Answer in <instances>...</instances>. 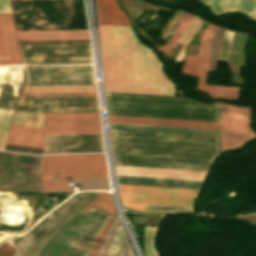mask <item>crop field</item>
<instances>
[{"mask_svg": "<svg viewBox=\"0 0 256 256\" xmlns=\"http://www.w3.org/2000/svg\"><path fill=\"white\" fill-rule=\"evenodd\" d=\"M21 64L11 14H0V65Z\"/></svg>", "mask_w": 256, "mask_h": 256, "instance_id": "obj_16", "label": "crop field"}, {"mask_svg": "<svg viewBox=\"0 0 256 256\" xmlns=\"http://www.w3.org/2000/svg\"><path fill=\"white\" fill-rule=\"evenodd\" d=\"M98 24L131 26L115 0H96Z\"/></svg>", "mask_w": 256, "mask_h": 256, "instance_id": "obj_19", "label": "crop field"}, {"mask_svg": "<svg viewBox=\"0 0 256 256\" xmlns=\"http://www.w3.org/2000/svg\"><path fill=\"white\" fill-rule=\"evenodd\" d=\"M215 29L210 24L199 45L198 57L186 56L181 72L198 77L196 89L212 95L213 98L238 101L240 88L207 84L210 46Z\"/></svg>", "mask_w": 256, "mask_h": 256, "instance_id": "obj_7", "label": "crop field"}, {"mask_svg": "<svg viewBox=\"0 0 256 256\" xmlns=\"http://www.w3.org/2000/svg\"><path fill=\"white\" fill-rule=\"evenodd\" d=\"M233 33L234 32H230L228 30L225 31V36H224L221 53H220V58H219V60H221V61H225V62L227 61L229 46H230V42H231Z\"/></svg>", "mask_w": 256, "mask_h": 256, "instance_id": "obj_35", "label": "crop field"}, {"mask_svg": "<svg viewBox=\"0 0 256 256\" xmlns=\"http://www.w3.org/2000/svg\"><path fill=\"white\" fill-rule=\"evenodd\" d=\"M110 123L219 130L218 123L109 115Z\"/></svg>", "mask_w": 256, "mask_h": 256, "instance_id": "obj_15", "label": "crop field"}, {"mask_svg": "<svg viewBox=\"0 0 256 256\" xmlns=\"http://www.w3.org/2000/svg\"><path fill=\"white\" fill-rule=\"evenodd\" d=\"M223 106L220 114L222 153L241 148L256 137L249 125L251 107L212 102Z\"/></svg>", "mask_w": 256, "mask_h": 256, "instance_id": "obj_9", "label": "crop field"}, {"mask_svg": "<svg viewBox=\"0 0 256 256\" xmlns=\"http://www.w3.org/2000/svg\"><path fill=\"white\" fill-rule=\"evenodd\" d=\"M157 227L145 226L144 232V246L146 256H158L154 245V236Z\"/></svg>", "mask_w": 256, "mask_h": 256, "instance_id": "obj_32", "label": "crop field"}, {"mask_svg": "<svg viewBox=\"0 0 256 256\" xmlns=\"http://www.w3.org/2000/svg\"><path fill=\"white\" fill-rule=\"evenodd\" d=\"M223 11H238L256 20V0H222Z\"/></svg>", "mask_w": 256, "mask_h": 256, "instance_id": "obj_23", "label": "crop field"}, {"mask_svg": "<svg viewBox=\"0 0 256 256\" xmlns=\"http://www.w3.org/2000/svg\"><path fill=\"white\" fill-rule=\"evenodd\" d=\"M193 19L194 16L185 13L178 27L172 33V37L169 39V41L156 49L167 57L175 43H178V41L180 40V38L182 37V35L184 34V32L186 31V29L188 28Z\"/></svg>", "mask_w": 256, "mask_h": 256, "instance_id": "obj_24", "label": "crop field"}, {"mask_svg": "<svg viewBox=\"0 0 256 256\" xmlns=\"http://www.w3.org/2000/svg\"><path fill=\"white\" fill-rule=\"evenodd\" d=\"M117 222L118 220L114 218L108 232L106 233L105 237H104V240L100 246V249H99V252L97 254V256H105L106 254V251H107V248H108V245L112 239V236H113V233H114V230L116 228V225H117Z\"/></svg>", "mask_w": 256, "mask_h": 256, "instance_id": "obj_34", "label": "crop field"}, {"mask_svg": "<svg viewBox=\"0 0 256 256\" xmlns=\"http://www.w3.org/2000/svg\"><path fill=\"white\" fill-rule=\"evenodd\" d=\"M117 175L203 180L207 172L116 166Z\"/></svg>", "mask_w": 256, "mask_h": 256, "instance_id": "obj_17", "label": "crop field"}, {"mask_svg": "<svg viewBox=\"0 0 256 256\" xmlns=\"http://www.w3.org/2000/svg\"><path fill=\"white\" fill-rule=\"evenodd\" d=\"M22 57H92L90 44L19 45Z\"/></svg>", "mask_w": 256, "mask_h": 256, "instance_id": "obj_14", "label": "crop field"}, {"mask_svg": "<svg viewBox=\"0 0 256 256\" xmlns=\"http://www.w3.org/2000/svg\"><path fill=\"white\" fill-rule=\"evenodd\" d=\"M96 92V86L25 87L22 93Z\"/></svg>", "mask_w": 256, "mask_h": 256, "instance_id": "obj_25", "label": "crop field"}, {"mask_svg": "<svg viewBox=\"0 0 256 256\" xmlns=\"http://www.w3.org/2000/svg\"><path fill=\"white\" fill-rule=\"evenodd\" d=\"M120 256H127L125 237H124V241H123V245H122Z\"/></svg>", "mask_w": 256, "mask_h": 256, "instance_id": "obj_41", "label": "crop field"}, {"mask_svg": "<svg viewBox=\"0 0 256 256\" xmlns=\"http://www.w3.org/2000/svg\"><path fill=\"white\" fill-rule=\"evenodd\" d=\"M23 64H83L92 58H22Z\"/></svg>", "mask_w": 256, "mask_h": 256, "instance_id": "obj_28", "label": "crop field"}, {"mask_svg": "<svg viewBox=\"0 0 256 256\" xmlns=\"http://www.w3.org/2000/svg\"><path fill=\"white\" fill-rule=\"evenodd\" d=\"M98 192H79L65 201L37 223L10 251L8 256H37L44 243L71 217L86 206ZM97 206L111 215H116L111 196L101 192L81 212Z\"/></svg>", "mask_w": 256, "mask_h": 256, "instance_id": "obj_4", "label": "crop field"}, {"mask_svg": "<svg viewBox=\"0 0 256 256\" xmlns=\"http://www.w3.org/2000/svg\"><path fill=\"white\" fill-rule=\"evenodd\" d=\"M0 12H11L9 0H0Z\"/></svg>", "mask_w": 256, "mask_h": 256, "instance_id": "obj_40", "label": "crop field"}, {"mask_svg": "<svg viewBox=\"0 0 256 256\" xmlns=\"http://www.w3.org/2000/svg\"><path fill=\"white\" fill-rule=\"evenodd\" d=\"M109 114L218 122L220 106L187 98L106 93Z\"/></svg>", "mask_w": 256, "mask_h": 256, "instance_id": "obj_3", "label": "crop field"}, {"mask_svg": "<svg viewBox=\"0 0 256 256\" xmlns=\"http://www.w3.org/2000/svg\"><path fill=\"white\" fill-rule=\"evenodd\" d=\"M19 40L89 39L88 30L17 31Z\"/></svg>", "mask_w": 256, "mask_h": 256, "instance_id": "obj_21", "label": "crop field"}, {"mask_svg": "<svg viewBox=\"0 0 256 256\" xmlns=\"http://www.w3.org/2000/svg\"><path fill=\"white\" fill-rule=\"evenodd\" d=\"M42 138L43 129L11 125L7 144L42 148Z\"/></svg>", "mask_w": 256, "mask_h": 256, "instance_id": "obj_20", "label": "crop field"}, {"mask_svg": "<svg viewBox=\"0 0 256 256\" xmlns=\"http://www.w3.org/2000/svg\"><path fill=\"white\" fill-rule=\"evenodd\" d=\"M101 211L93 207L85 214H76L46 242L38 256H71L81 237L103 213Z\"/></svg>", "mask_w": 256, "mask_h": 256, "instance_id": "obj_8", "label": "crop field"}, {"mask_svg": "<svg viewBox=\"0 0 256 256\" xmlns=\"http://www.w3.org/2000/svg\"><path fill=\"white\" fill-rule=\"evenodd\" d=\"M91 177H108L107 175H91V176H60V177H43V179H59V178H91Z\"/></svg>", "mask_w": 256, "mask_h": 256, "instance_id": "obj_39", "label": "crop field"}, {"mask_svg": "<svg viewBox=\"0 0 256 256\" xmlns=\"http://www.w3.org/2000/svg\"><path fill=\"white\" fill-rule=\"evenodd\" d=\"M103 151L101 134L45 135L44 154Z\"/></svg>", "mask_w": 256, "mask_h": 256, "instance_id": "obj_13", "label": "crop field"}, {"mask_svg": "<svg viewBox=\"0 0 256 256\" xmlns=\"http://www.w3.org/2000/svg\"><path fill=\"white\" fill-rule=\"evenodd\" d=\"M106 91L173 95L153 52L131 27L98 25Z\"/></svg>", "mask_w": 256, "mask_h": 256, "instance_id": "obj_2", "label": "crop field"}, {"mask_svg": "<svg viewBox=\"0 0 256 256\" xmlns=\"http://www.w3.org/2000/svg\"><path fill=\"white\" fill-rule=\"evenodd\" d=\"M116 165L208 171L219 136L111 129Z\"/></svg>", "mask_w": 256, "mask_h": 256, "instance_id": "obj_1", "label": "crop field"}, {"mask_svg": "<svg viewBox=\"0 0 256 256\" xmlns=\"http://www.w3.org/2000/svg\"><path fill=\"white\" fill-rule=\"evenodd\" d=\"M123 237L124 233L120 223L118 222L117 228L115 230L112 242L108 248L106 256H119Z\"/></svg>", "mask_w": 256, "mask_h": 256, "instance_id": "obj_31", "label": "crop field"}, {"mask_svg": "<svg viewBox=\"0 0 256 256\" xmlns=\"http://www.w3.org/2000/svg\"><path fill=\"white\" fill-rule=\"evenodd\" d=\"M125 207L150 213H184L180 211L141 210L146 203L192 206L198 190L119 185Z\"/></svg>", "mask_w": 256, "mask_h": 256, "instance_id": "obj_5", "label": "crop field"}, {"mask_svg": "<svg viewBox=\"0 0 256 256\" xmlns=\"http://www.w3.org/2000/svg\"><path fill=\"white\" fill-rule=\"evenodd\" d=\"M97 95L96 93L22 94L21 96Z\"/></svg>", "mask_w": 256, "mask_h": 256, "instance_id": "obj_38", "label": "crop field"}, {"mask_svg": "<svg viewBox=\"0 0 256 256\" xmlns=\"http://www.w3.org/2000/svg\"><path fill=\"white\" fill-rule=\"evenodd\" d=\"M202 3L209 6L212 13L216 15L223 14L221 0H202Z\"/></svg>", "mask_w": 256, "mask_h": 256, "instance_id": "obj_36", "label": "crop field"}, {"mask_svg": "<svg viewBox=\"0 0 256 256\" xmlns=\"http://www.w3.org/2000/svg\"><path fill=\"white\" fill-rule=\"evenodd\" d=\"M201 22L202 21H200L198 18H195L194 21L192 22V24L189 26V28L187 29V31L185 32V34L183 35V37L179 41V43H181L183 45L178 50V52H177V54L174 58L175 61H182L185 47H186L187 43L189 42V40L196 33V31H197L198 27L200 26Z\"/></svg>", "mask_w": 256, "mask_h": 256, "instance_id": "obj_29", "label": "crop field"}, {"mask_svg": "<svg viewBox=\"0 0 256 256\" xmlns=\"http://www.w3.org/2000/svg\"><path fill=\"white\" fill-rule=\"evenodd\" d=\"M111 128L219 135V131L110 124Z\"/></svg>", "mask_w": 256, "mask_h": 256, "instance_id": "obj_27", "label": "crop field"}, {"mask_svg": "<svg viewBox=\"0 0 256 256\" xmlns=\"http://www.w3.org/2000/svg\"><path fill=\"white\" fill-rule=\"evenodd\" d=\"M72 183H81L82 190H108V178L43 180L42 192L73 190Z\"/></svg>", "mask_w": 256, "mask_h": 256, "instance_id": "obj_18", "label": "crop field"}, {"mask_svg": "<svg viewBox=\"0 0 256 256\" xmlns=\"http://www.w3.org/2000/svg\"><path fill=\"white\" fill-rule=\"evenodd\" d=\"M101 133L99 113L46 114L45 134Z\"/></svg>", "mask_w": 256, "mask_h": 256, "instance_id": "obj_12", "label": "crop field"}, {"mask_svg": "<svg viewBox=\"0 0 256 256\" xmlns=\"http://www.w3.org/2000/svg\"><path fill=\"white\" fill-rule=\"evenodd\" d=\"M43 121L44 113L16 111L11 124L43 128Z\"/></svg>", "mask_w": 256, "mask_h": 256, "instance_id": "obj_26", "label": "crop field"}, {"mask_svg": "<svg viewBox=\"0 0 256 256\" xmlns=\"http://www.w3.org/2000/svg\"><path fill=\"white\" fill-rule=\"evenodd\" d=\"M13 110L0 109V149L4 148Z\"/></svg>", "mask_w": 256, "mask_h": 256, "instance_id": "obj_30", "label": "crop field"}, {"mask_svg": "<svg viewBox=\"0 0 256 256\" xmlns=\"http://www.w3.org/2000/svg\"><path fill=\"white\" fill-rule=\"evenodd\" d=\"M16 109L39 112L98 111L97 96L21 97Z\"/></svg>", "mask_w": 256, "mask_h": 256, "instance_id": "obj_11", "label": "crop field"}, {"mask_svg": "<svg viewBox=\"0 0 256 256\" xmlns=\"http://www.w3.org/2000/svg\"><path fill=\"white\" fill-rule=\"evenodd\" d=\"M118 183L199 188L202 181L117 176Z\"/></svg>", "mask_w": 256, "mask_h": 256, "instance_id": "obj_22", "label": "crop field"}, {"mask_svg": "<svg viewBox=\"0 0 256 256\" xmlns=\"http://www.w3.org/2000/svg\"><path fill=\"white\" fill-rule=\"evenodd\" d=\"M113 218H110L108 216L107 220L105 221L103 227L101 228L100 232L98 233L97 237L95 238V240L93 241L88 253H87V256H96L97 254V251H98V248H99V245L105 235V233L107 232L111 222H112Z\"/></svg>", "mask_w": 256, "mask_h": 256, "instance_id": "obj_33", "label": "crop field"}, {"mask_svg": "<svg viewBox=\"0 0 256 256\" xmlns=\"http://www.w3.org/2000/svg\"><path fill=\"white\" fill-rule=\"evenodd\" d=\"M107 174L104 154L43 156V176Z\"/></svg>", "mask_w": 256, "mask_h": 256, "instance_id": "obj_10", "label": "crop field"}, {"mask_svg": "<svg viewBox=\"0 0 256 256\" xmlns=\"http://www.w3.org/2000/svg\"><path fill=\"white\" fill-rule=\"evenodd\" d=\"M25 86L96 85L93 65L24 66Z\"/></svg>", "mask_w": 256, "mask_h": 256, "instance_id": "obj_6", "label": "crop field"}, {"mask_svg": "<svg viewBox=\"0 0 256 256\" xmlns=\"http://www.w3.org/2000/svg\"><path fill=\"white\" fill-rule=\"evenodd\" d=\"M184 15V12H179L178 15L175 17V19L172 21V23L169 25V27L165 30V32L162 34L160 38L166 41V39L169 37V35L173 32V30L177 27L179 21L181 20L182 16Z\"/></svg>", "mask_w": 256, "mask_h": 256, "instance_id": "obj_37", "label": "crop field"}]
</instances>
